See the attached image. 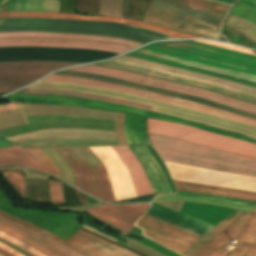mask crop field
<instances>
[{
  "label": "crop field",
  "instance_id": "1",
  "mask_svg": "<svg viewBox=\"0 0 256 256\" xmlns=\"http://www.w3.org/2000/svg\"><path fill=\"white\" fill-rule=\"evenodd\" d=\"M73 115L88 118L115 120L116 132L93 129H45L32 133L8 137L13 142L53 138H96L119 139L120 144L128 143L124 135V114L72 106L0 104V131L11 126L29 123L26 116Z\"/></svg>",
  "mask_w": 256,
  "mask_h": 256
},
{
  "label": "crop field",
  "instance_id": "2",
  "mask_svg": "<svg viewBox=\"0 0 256 256\" xmlns=\"http://www.w3.org/2000/svg\"><path fill=\"white\" fill-rule=\"evenodd\" d=\"M228 8L208 0H149L143 21L216 39Z\"/></svg>",
  "mask_w": 256,
  "mask_h": 256
},
{
  "label": "crop field",
  "instance_id": "3",
  "mask_svg": "<svg viewBox=\"0 0 256 256\" xmlns=\"http://www.w3.org/2000/svg\"><path fill=\"white\" fill-rule=\"evenodd\" d=\"M177 190L204 193L256 202V193L216 188L174 181ZM237 245L224 256H256V206L252 214L243 212L236 220L210 240L196 256H221L227 244Z\"/></svg>",
  "mask_w": 256,
  "mask_h": 256
},
{
  "label": "crop field",
  "instance_id": "4",
  "mask_svg": "<svg viewBox=\"0 0 256 256\" xmlns=\"http://www.w3.org/2000/svg\"><path fill=\"white\" fill-rule=\"evenodd\" d=\"M150 141L162 160L256 177V159L149 134Z\"/></svg>",
  "mask_w": 256,
  "mask_h": 256
},
{
  "label": "crop field",
  "instance_id": "5",
  "mask_svg": "<svg viewBox=\"0 0 256 256\" xmlns=\"http://www.w3.org/2000/svg\"><path fill=\"white\" fill-rule=\"evenodd\" d=\"M73 170L75 187L103 201H115L108 174L88 147L55 148Z\"/></svg>",
  "mask_w": 256,
  "mask_h": 256
},
{
  "label": "crop field",
  "instance_id": "6",
  "mask_svg": "<svg viewBox=\"0 0 256 256\" xmlns=\"http://www.w3.org/2000/svg\"><path fill=\"white\" fill-rule=\"evenodd\" d=\"M148 132L256 158V144L171 122L147 120Z\"/></svg>",
  "mask_w": 256,
  "mask_h": 256
},
{
  "label": "crop field",
  "instance_id": "7",
  "mask_svg": "<svg viewBox=\"0 0 256 256\" xmlns=\"http://www.w3.org/2000/svg\"><path fill=\"white\" fill-rule=\"evenodd\" d=\"M69 70L96 73L100 75L110 76L114 78H119V79L131 81V82L139 83V84L156 86V87H160V88H164L172 91L199 96V97H202L220 104H224L233 108L256 113V105H253V104L242 102L213 91L192 87V86H187V85H182L178 83H173L169 81L159 80V79L151 78L149 76L136 74L128 71H123V70H118V69L108 68V67L94 66V65H87V66H82V67L73 68Z\"/></svg>",
  "mask_w": 256,
  "mask_h": 256
},
{
  "label": "crop field",
  "instance_id": "8",
  "mask_svg": "<svg viewBox=\"0 0 256 256\" xmlns=\"http://www.w3.org/2000/svg\"><path fill=\"white\" fill-rule=\"evenodd\" d=\"M41 81L76 83V84H82V85L92 86V87H96V88H102V89H108V90H113V91H119V92H124V93L140 95V96H144V97H148V98H152V99L188 107L191 109L211 113L214 115H218V116H221L224 118L236 120V121L243 122V123H246V124L256 127V120H253V119H250L247 117H243V116H240L237 114L225 112V111H222V110H219V109H216L213 107H209L206 105H202V104H198V103H194V102H190V101H186V100L176 99V98L156 94V93L149 92V91H143V90H138V89H134V88H129V87H125V86H121V85H117V84L105 83V82L89 80V79H84V78H78V77L57 76V75H51Z\"/></svg>",
  "mask_w": 256,
  "mask_h": 256
},
{
  "label": "crop field",
  "instance_id": "9",
  "mask_svg": "<svg viewBox=\"0 0 256 256\" xmlns=\"http://www.w3.org/2000/svg\"><path fill=\"white\" fill-rule=\"evenodd\" d=\"M79 64L57 61H26L0 63V94L9 93L43 75L66 66Z\"/></svg>",
  "mask_w": 256,
  "mask_h": 256
},
{
  "label": "crop field",
  "instance_id": "10",
  "mask_svg": "<svg viewBox=\"0 0 256 256\" xmlns=\"http://www.w3.org/2000/svg\"><path fill=\"white\" fill-rule=\"evenodd\" d=\"M0 215L5 216L18 223H21L25 226H28L46 236L56 239L84 256H139L133 252H130L120 246L105 241L81 229H79L70 239L65 241L42 228L33 226L27 222L11 217L1 211Z\"/></svg>",
  "mask_w": 256,
  "mask_h": 256
},
{
  "label": "crop field",
  "instance_id": "11",
  "mask_svg": "<svg viewBox=\"0 0 256 256\" xmlns=\"http://www.w3.org/2000/svg\"><path fill=\"white\" fill-rule=\"evenodd\" d=\"M104 164L113 187L116 200L136 196L130 174L119 156L110 146L89 147Z\"/></svg>",
  "mask_w": 256,
  "mask_h": 256
},
{
  "label": "crop field",
  "instance_id": "12",
  "mask_svg": "<svg viewBox=\"0 0 256 256\" xmlns=\"http://www.w3.org/2000/svg\"><path fill=\"white\" fill-rule=\"evenodd\" d=\"M3 46H50L65 48H85L111 51L118 54L124 53L134 48L108 42L29 37L0 38V47Z\"/></svg>",
  "mask_w": 256,
  "mask_h": 256
},
{
  "label": "crop field",
  "instance_id": "13",
  "mask_svg": "<svg viewBox=\"0 0 256 256\" xmlns=\"http://www.w3.org/2000/svg\"><path fill=\"white\" fill-rule=\"evenodd\" d=\"M148 207L149 203L134 205L102 204L101 208H89L86 212L101 221L129 232L132 224L143 215Z\"/></svg>",
  "mask_w": 256,
  "mask_h": 256
},
{
  "label": "crop field",
  "instance_id": "14",
  "mask_svg": "<svg viewBox=\"0 0 256 256\" xmlns=\"http://www.w3.org/2000/svg\"><path fill=\"white\" fill-rule=\"evenodd\" d=\"M54 74L88 77V78H92V79H96V80H100V81L117 83V84H122V85L130 86V87H135V88H139V89H143V90H149V91L157 92V93H160V94H164V95H168V96H172V97H176V98H181V99H186V100L199 102V103L206 104V105H209V106H213V107L225 110V111L237 113V114H240V115H244V116L256 119V114L236 110V109H233V108H230V107H227V106H224V105H220V104H217V103H214V102L202 99V98H198V97H194V96H190V95H186V94H181V93H177V92H172V91H168V90H164V89H160V88H156V87L139 85V84H135V83L119 80V79L109 78V77H105V76L95 75V74L76 73V72H68V71H60V72H56Z\"/></svg>",
  "mask_w": 256,
  "mask_h": 256
},
{
  "label": "crop field",
  "instance_id": "15",
  "mask_svg": "<svg viewBox=\"0 0 256 256\" xmlns=\"http://www.w3.org/2000/svg\"><path fill=\"white\" fill-rule=\"evenodd\" d=\"M0 17H43V18H67V19H84V20H99V21H112V22H119V23H126L132 24L148 29H152L161 33H165L168 35L181 37V38H200L194 37L190 35H186L184 33L174 32L168 29L156 27L153 25L140 23L131 20L120 19L116 17H105V16H81V15H69V14H62V13H46V12H21V13H0Z\"/></svg>",
  "mask_w": 256,
  "mask_h": 256
},
{
  "label": "crop field",
  "instance_id": "16",
  "mask_svg": "<svg viewBox=\"0 0 256 256\" xmlns=\"http://www.w3.org/2000/svg\"><path fill=\"white\" fill-rule=\"evenodd\" d=\"M113 148L127 166L134 182L137 196L154 193L142 166L129 148L127 146H113Z\"/></svg>",
  "mask_w": 256,
  "mask_h": 256
},
{
  "label": "crop field",
  "instance_id": "17",
  "mask_svg": "<svg viewBox=\"0 0 256 256\" xmlns=\"http://www.w3.org/2000/svg\"><path fill=\"white\" fill-rule=\"evenodd\" d=\"M10 164L49 173L45 166L19 145L0 150V167L9 166Z\"/></svg>",
  "mask_w": 256,
  "mask_h": 256
},
{
  "label": "crop field",
  "instance_id": "18",
  "mask_svg": "<svg viewBox=\"0 0 256 256\" xmlns=\"http://www.w3.org/2000/svg\"><path fill=\"white\" fill-rule=\"evenodd\" d=\"M12 36H39V37H50V38L99 40V41L116 42V43H120V44L134 46V47H138V46L142 45L141 43L127 41V40H121V39H115V38H109V37H101V36L80 35V34L45 33V32L0 33V37H12Z\"/></svg>",
  "mask_w": 256,
  "mask_h": 256
},
{
  "label": "crop field",
  "instance_id": "19",
  "mask_svg": "<svg viewBox=\"0 0 256 256\" xmlns=\"http://www.w3.org/2000/svg\"><path fill=\"white\" fill-rule=\"evenodd\" d=\"M136 225H138L144 229V235L152 238L153 240L165 245L166 247H168L180 254L192 245L190 243H187L185 241H182L180 239H177L175 237H172L170 235L162 233L158 230L150 228L146 225H143L139 222H137Z\"/></svg>",
  "mask_w": 256,
  "mask_h": 256
},
{
  "label": "crop field",
  "instance_id": "20",
  "mask_svg": "<svg viewBox=\"0 0 256 256\" xmlns=\"http://www.w3.org/2000/svg\"><path fill=\"white\" fill-rule=\"evenodd\" d=\"M127 55L137 57V58H141V59H145V60H149V61H153V62H157V63H161V64H165V65H169V66H173V67H177V68H182V69H186V70L195 71V72H198V73L208 74V75H212V76L219 77V78L229 79V80L237 82V83L246 84V85L256 87V83L248 81V80H244V79H240V78H236V77H232V76H228V75H224V74H220V73H216V72L197 69V68H193V67L173 63V62L166 61V60L159 59V58L152 57V56L137 54V53H133V52H131Z\"/></svg>",
  "mask_w": 256,
  "mask_h": 256
},
{
  "label": "crop field",
  "instance_id": "21",
  "mask_svg": "<svg viewBox=\"0 0 256 256\" xmlns=\"http://www.w3.org/2000/svg\"><path fill=\"white\" fill-rule=\"evenodd\" d=\"M242 212L234 210L227 217H225L221 222L211 228L207 233H205L199 240L192 245L187 251H185L183 256H194L195 253L204 245V243L211 238H213L217 233L224 229L228 224H230L234 219H236Z\"/></svg>",
  "mask_w": 256,
  "mask_h": 256
},
{
  "label": "crop field",
  "instance_id": "22",
  "mask_svg": "<svg viewBox=\"0 0 256 256\" xmlns=\"http://www.w3.org/2000/svg\"><path fill=\"white\" fill-rule=\"evenodd\" d=\"M26 94H64V95H74V96H80V97H86V98H92L102 101H107L111 103H117V104H123L128 105L132 107H137L141 109L151 110L153 107L147 106L144 104L139 103H133V102H127L119 99H113V98H107V97H101V96H95V95H89V94H83V93H76V92H68V91H57V90H33L29 89Z\"/></svg>",
  "mask_w": 256,
  "mask_h": 256
},
{
  "label": "crop field",
  "instance_id": "23",
  "mask_svg": "<svg viewBox=\"0 0 256 256\" xmlns=\"http://www.w3.org/2000/svg\"><path fill=\"white\" fill-rule=\"evenodd\" d=\"M0 218L3 219V220H5V221H8V222H10V223L15 224V225H17L18 227H20V228H22V229H24V230H27V231H29V232H31V233H33V234L39 236L40 238H38V237H36V236H34V235H32V234H30V233L24 231V230L18 229V228H16V227H14V226H12V225H10V224H8V223L2 221V220H0L1 223H4V224L10 226L11 228H13V229H15V230H17V231H19V232H21V233L27 235V236H30V237H33V238L39 240V241H41L42 243H44V244H46V245H48V246H50V247H52V248H54V249H56V250L62 252L63 254H65V255H67V256H82V255H80V254L74 252V251L71 250L70 248L66 247L65 245H63V244H61V243H59V242H57V241H55V240H53V239H51V238H48V237L43 236V235H41V234L35 233V232H33V231H31V230H29V229H27V228H25V227H23V226H21V225L15 223V222H12V221H10V220L4 218V217H1V216H0Z\"/></svg>",
  "mask_w": 256,
  "mask_h": 256
},
{
  "label": "crop field",
  "instance_id": "24",
  "mask_svg": "<svg viewBox=\"0 0 256 256\" xmlns=\"http://www.w3.org/2000/svg\"><path fill=\"white\" fill-rule=\"evenodd\" d=\"M228 16H229V13H228V15L226 16V18H225V20L223 21V25H225L224 23H225V21H226V19L228 18ZM226 24H228V25H230V26H232V27H234V28H236V29H239V30H241V32H243L244 34H246L247 36H249L251 39H253L254 41H256V24L255 23H253V22H250V21H247V20H245V19H242V18H240V17H237V16H234V15H232V14H230V16H229V18L227 19V21H226ZM225 26H227V25H225ZM227 27H229V26H227ZM229 28H231V27H229ZM231 29H233V28H231ZM233 30H235V29H233ZM235 31H237V32H239V33H241L240 31H238V30H235ZM243 33H241L242 35H244ZM246 35H244L245 37H247ZM248 38V37H247ZM249 38V39H250ZM250 39V40H251ZM252 40V41H253ZM253 41V42H254ZM256 43V42H255Z\"/></svg>",
  "mask_w": 256,
  "mask_h": 256
},
{
  "label": "crop field",
  "instance_id": "25",
  "mask_svg": "<svg viewBox=\"0 0 256 256\" xmlns=\"http://www.w3.org/2000/svg\"><path fill=\"white\" fill-rule=\"evenodd\" d=\"M139 222H141V223H143V224H146V225H148V226H151V227H153V228H155V229H158V230H160V231H162V232H165V233H167V234H170V235H172V236H175V237H177V238H180V239H182V240H185V241H187V242H190V243H192V244H193L194 242H196L197 239H198V237H195V236H192V235H190V234L184 233V232H182V231H179V230H177V229H175V228H172V227H170V226H167V225H165V224H162V223H160V222H157V221L152 220V219H150V218H147V217H145V216H143V217L139 220Z\"/></svg>",
  "mask_w": 256,
  "mask_h": 256
},
{
  "label": "crop field",
  "instance_id": "26",
  "mask_svg": "<svg viewBox=\"0 0 256 256\" xmlns=\"http://www.w3.org/2000/svg\"><path fill=\"white\" fill-rule=\"evenodd\" d=\"M154 200H185V201H193V202H199V203H206V204H212V205H218V206H224L229 208H235V209H241L252 212V207L227 203V202H221V201H213V200H206V199H199V198H191V197H185V196H179V195H158Z\"/></svg>",
  "mask_w": 256,
  "mask_h": 256
},
{
  "label": "crop field",
  "instance_id": "27",
  "mask_svg": "<svg viewBox=\"0 0 256 256\" xmlns=\"http://www.w3.org/2000/svg\"><path fill=\"white\" fill-rule=\"evenodd\" d=\"M0 230L19 239V240H22V241L36 247L37 249H39L40 251L44 252L45 254H47L49 256H65V255L45 246L44 244L32 239V238H29L25 235H22L16 231L10 229L9 227H7L1 223H0Z\"/></svg>",
  "mask_w": 256,
  "mask_h": 256
},
{
  "label": "crop field",
  "instance_id": "28",
  "mask_svg": "<svg viewBox=\"0 0 256 256\" xmlns=\"http://www.w3.org/2000/svg\"><path fill=\"white\" fill-rule=\"evenodd\" d=\"M46 155L50 157L62 171L60 179L74 185L73 174L67 162L58 154L54 148H42Z\"/></svg>",
  "mask_w": 256,
  "mask_h": 256
},
{
  "label": "crop field",
  "instance_id": "29",
  "mask_svg": "<svg viewBox=\"0 0 256 256\" xmlns=\"http://www.w3.org/2000/svg\"><path fill=\"white\" fill-rule=\"evenodd\" d=\"M1 174L16 189L19 194L24 198L25 194V179L23 178L21 169H4Z\"/></svg>",
  "mask_w": 256,
  "mask_h": 256
},
{
  "label": "crop field",
  "instance_id": "30",
  "mask_svg": "<svg viewBox=\"0 0 256 256\" xmlns=\"http://www.w3.org/2000/svg\"><path fill=\"white\" fill-rule=\"evenodd\" d=\"M230 13L256 23V7L250 6L238 0H236V2L234 3L233 7L230 10Z\"/></svg>",
  "mask_w": 256,
  "mask_h": 256
},
{
  "label": "crop field",
  "instance_id": "31",
  "mask_svg": "<svg viewBox=\"0 0 256 256\" xmlns=\"http://www.w3.org/2000/svg\"><path fill=\"white\" fill-rule=\"evenodd\" d=\"M27 151L31 152L34 157L39 160L42 164H44L49 170L50 175L55 177L60 176V170L58 166H56L51 159H49L41 148H25Z\"/></svg>",
  "mask_w": 256,
  "mask_h": 256
},
{
  "label": "crop field",
  "instance_id": "32",
  "mask_svg": "<svg viewBox=\"0 0 256 256\" xmlns=\"http://www.w3.org/2000/svg\"><path fill=\"white\" fill-rule=\"evenodd\" d=\"M100 0H77L76 9L79 12L98 14Z\"/></svg>",
  "mask_w": 256,
  "mask_h": 256
},
{
  "label": "crop field",
  "instance_id": "33",
  "mask_svg": "<svg viewBox=\"0 0 256 256\" xmlns=\"http://www.w3.org/2000/svg\"><path fill=\"white\" fill-rule=\"evenodd\" d=\"M0 238H2L4 240H6V241H8V242L18 246V247H20L22 249H24L25 251L31 253L34 256H47L44 253L40 252L39 250H37V249H35V248H33V247H31V246H29V245L19 241L17 239H14V238H12V237H10V236L2 233V232H0Z\"/></svg>",
  "mask_w": 256,
  "mask_h": 256
},
{
  "label": "crop field",
  "instance_id": "34",
  "mask_svg": "<svg viewBox=\"0 0 256 256\" xmlns=\"http://www.w3.org/2000/svg\"><path fill=\"white\" fill-rule=\"evenodd\" d=\"M179 195H185V196H191V197H199V198H206V199H214V200H221V201H227L247 206H255V203L253 202H246V201H240V200H234V199H228V198H222V197H216V196H210V195H204V194H194V193H186V192H180L178 191Z\"/></svg>",
  "mask_w": 256,
  "mask_h": 256
},
{
  "label": "crop field",
  "instance_id": "35",
  "mask_svg": "<svg viewBox=\"0 0 256 256\" xmlns=\"http://www.w3.org/2000/svg\"><path fill=\"white\" fill-rule=\"evenodd\" d=\"M50 196L52 203H64L60 182L50 180Z\"/></svg>",
  "mask_w": 256,
  "mask_h": 256
},
{
  "label": "crop field",
  "instance_id": "36",
  "mask_svg": "<svg viewBox=\"0 0 256 256\" xmlns=\"http://www.w3.org/2000/svg\"><path fill=\"white\" fill-rule=\"evenodd\" d=\"M0 249L5 251L6 253L10 254L11 256H24L21 253L17 252L16 250L8 247L7 245L0 242Z\"/></svg>",
  "mask_w": 256,
  "mask_h": 256
},
{
  "label": "crop field",
  "instance_id": "37",
  "mask_svg": "<svg viewBox=\"0 0 256 256\" xmlns=\"http://www.w3.org/2000/svg\"><path fill=\"white\" fill-rule=\"evenodd\" d=\"M0 241L3 242V243H5V244H7L8 246H10V247L16 249L17 251L21 252L22 254H24V255H26V256H32L31 254L25 252L24 250H22V249H20V248H18V247H16V246H14V245H12V244H10V243L4 241V240H2V239H0Z\"/></svg>",
  "mask_w": 256,
  "mask_h": 256
},
{
  "label": "crop field",
  "instance_id": "38",
  "mask_svg": "<svg viewBox=\"0 0 256 256\" xmlns=\"http://www.w3.org/2000/svg\"><path fill=\"white\" fill-rule=\"evenodd\" d=\"M11 145H14V143H11V142L0 139V148L11 146Z\"/></svg>",
  "mask_w": 256,
  "mask_h": 256
},
{
  "label": "crop field",
  "instance_id": "39",
  "mask_svg": "<svg viewBox=\"0 0 256 256\" xmlns=\"http://www.w3.org/2000/svg\"><path fill=\"white\" fill-rule=\"evenodd\" d=\"M242 1L256 6V0H242Z\"/></svg>",
  "mask_w": 256,
  "mask_h": 256
},
{
  "label": "crop field",
  "instance_id": "40",
  "mask_svg": "<svg viewBox=\"0 0 256 256\" xmlns=\"http://www.w3.org/2000/svg\"><path fill=\"white\" fill-rule=\"evenodd\" d=\"M217 1L225 2V3H229V4H232V2H233V0H217Z\"/></svg>",
  "mask_w": 256,
  "mask_h": 256
},
{
  "label": "crop field",
  "instance_id": "41",
  "mask_svg": "<svg viewBox=\"0 0 256 256\" xmlns=\"http://www.w3.org/2000/svg\"><path fill=\"white\" fill-rule=\"evenodd\" d=\"M0 253L3 254L4 256H10V255H8V254L2 252V251H0Z\"/></svg>",
  "mask_w": 256,
  "mask_h": 256
},
{
  "label": "crop field",
  "instance_id": "42",
  "mask_svg": "<svg viewBox=\"0 0 256 256\" xmlns=\"http://www.w3.org/2000/svg\"><path fill=\"white\" fill-rule=\"evenodd\" d=\"M4 1H5V0H1V1H0V5H1Z\"/></svg>",
  "mask_w": 256,
  "mask_h": 256
},
{
  "label": "crop field",
  "instance_id": "43",
  "mask_svg": "<svg viewBox=\"0 0 256 256\" xmlns=\"http://www.w3.org/2000/svg\"><path fill=\"white\" fill-rule=\"evenodd\" d=\"M0 256H3V255L0 254Z\"/></svg>",
  "mask_w": 256,
  "mask_h": 256
}]
</instances>
